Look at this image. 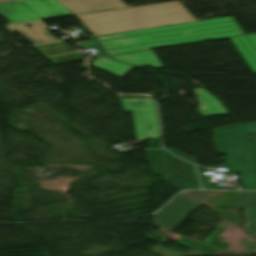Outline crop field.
Returning a JSON list of instances; mask_svg holds the SVG:
<instances>
[{
    "label": "crop field",
    "instance_id": "obj_1",
    "mask_svg": "<svg viewBox=\"0 0 256 256\" xmlns=\"http://www.w3.org/2000/svg\"><path fill=\"white\" fill-rule=\"evenodd\" d=\"M243 34L232 16L97 37L109 55Z\"/></svg>",
    "mask_w": 256,
    "mask_h": 256
},
{
    "label": "crop field",
    "instance_id": "obj_2",
    "mask_svg": "<svg viewBox=\"0 0 256 256\" xmlns=\"http://www.w3.org/2000/svg\"><path fill=\"white\" fill-rule=\"evenodd\" d=\"M78 17L95 36L197 20L179 1Z\"/></svg>",
    "mask_w": 256,
    "mask_h": 256
},
{
    "label": "crop field",
    "instance_id": "obj_3",
    "mask_svg": "<svg viewBox=\"0 0 256 256\" xmlns=\"http://www.w3.org/2000/svg\"><path fill=\"white\" fill-rule=\"evenodd\" d=\"M216 143L230 172L256 171L252 142L238 126L216 130Z\"/></svg>",
    "mask_w": 256,
    "mask_h": 256
},
{
    "label": "crop field",
    "instance_id": "obj_4",
    "mask_svg": "<svg viewBox=\"0 0 256 256\" xmlns=\"http://www.w3.org/2000/svg\"><path fill=\"white\" fill-rule=\"evenodd\" d=\"M71 15L54 0H18L0 3V16L9 23Z\"/></svg>",
    "mask_w": 256,
    "mask_h": 256
},
{
    "label": "crop field",
    "instance_id": "obj_5",
    "mask_svg": "<svg viewBox=\"0 0 256 256\" xmlns=\"http://www.w3.org/2000/svg\"><path fill=\"white\" fill-rule=\"evenodd\" d=\"M121 101L126 111H132L137 140L159 136L155 106L150 98Z\"/></svg>",
    "mask_w": 256,
    "mask_h": 256
},
{
    "label": "crop field",
    "instance_id": "obj_6",
    "mask_svg": "<svg viewBox=\"0 0 256 256\" xmlns=\"http://www.w3.org/2000/svg\"><path fill=\"white\" fill-rule=\"evenodd\" d=\"M200 205L185 194H178L172 202L155 214V225L172 231Z\"/></svg>",
    "mask_w": 256,
    "mask_h": 256
},
{
    "label": "crop field",
    "instance_id": "obj_7",
    "mask_svg": "<svg viewBox=\"0 0 256 256\" xmlns=\"http://www.w3.org/2000/svg\"><path fill=\"white\" fill-rule=\"evenodd\" d=\"M167 175L162 178L179 189H200L192 164L163 150Z\"/></svg>",
    "mask_w": 256,
    "mask_h": 256
},
{
    "label": "crop field",
    "instance_id": "obj_8",
    "mask_svg": "<svg viewBox=\"0 0 256 256\" xmlns=\"http://www.w3.org/2000/svg\"><path fill=\"white\" fill-rule=\"evenodd\" d=\"M75 14L125 7L121 0H59ZM66 7V8H67Z\"/></svg>",
    "mask_w": 256,
    "mask_h": 256
},
{
    "label": "crop field",
    "instance_id": "obj_9",
    "mask_svg": "<svg viewBox=\"0 0 256 256\" xmlns=\"http://www.w3.org/2000/svg\"><path fill=\"white\" fill-rule=\"evenodd\" d=\"M24 24L30 25L36 34L30 31ZM12 27L33 44L57 41V39L48 32V28L40 21L12 25Z\"/></svg>",
    "mask_w": 256,
    "mask_h": 256
},
{
    "label": "crop field",
    "instance_id": "obj_10",
    "mask_svg": "<svg viewBox=\"0 0 256 256\" xmlns=\"http://www.w3.org/2000/svg\"><path fill=\"white\" fill-rule=\"evenodd\" d=\"M239 206L245 208L244 231L256 237V192H241Z\"/></svg>",
    "mask_w": 256,
    "mask_h": 256
},
{
    "label": "crop field",
    "instance_id": "obj_11",
    "mask_svg": "<svg viewBox=\"0 0 256 256\" xmlns=\"http://www.w3.org/2000/svg\"><path fill=\"white\" fill-rule=\"evenodd\" d=\"M230 39L249 66L256 72V34L231 37Z\"/></svg>",
    "mask_w": 256,
    "mask_h": 256
},
{
    "label": "crop field",
    "instance_id": "obj_12",
    "mask_svg": "<svg viewBox=\"0 0 256 256\" xmlns=\"http://www.w3.org/2000/svg\"><path fill=\"white\" fill-rule=\"evenodd\" d=\"M199 100L198 112L202 116H214L228 114L218 99L212 97L202 88L194 89Z\"/></svg>",
    "mask_w": 256,
    "mask_h": 256
},
{
    "label": "crop field",
    "instance_id": "obj_13",
    "mask_svg": "<svg viewBox=\"0 0 256 256\" xmlns=\"http://www.w3.org/2000/svg\"><path fill=\"white\" fill-rule=\"evenodd\" d=\"M111 58L136 66H155L163 68L152 50L113 56Z\"/></svg>",
    "mask_w": 256,
    "mask_h": 256
},
{
    "label": "crop field",
    "instance_id": "obj_14",
    "mask_svg": "<svg viewBox=\"0 0 256 256\" xmlns=\"http://www.w3.org/2000/svg\"><path fill=\"white\" fill-rule=\"evenodd\" d=\"M90 65L120 77L125 75L129 70H131L134 67L119 62H115L109 59L108 57L96 59Z\"/></svg>",
    "mask_w": 256,
    "mask_h": 256
},
{
    "label": "crop field",
    "instance_id": "obj_15",
    "mask_svg": "<svg viewBox=\"0 0 256 256\" xmlns=\"http://www.w3.org/2000/svg\"><path fill=\"white\" fill-rule=\"evenodd\" d=\"M226 191H186L189 197L206 207H214Z\"/></svg>",
    "mask_w": 256,
    "mask_h": 256
},
{
    "label": "crop field",
    "instance_id": "obj_16",
    "mask_svg": "<svg viewBox=\"0 0 256 256\" xmlns=\"http://www.w3.org/2000/svg\"><path fill=\"white\" fill-rule=\"evenodd\" d=\"M147 162L151 164L152 173L165 176V165L162 150H146Z\"/></svg>",
    "mask_w": 256,
    "mask_h": 256
},
{
    "label": "crop field",
    "instance_id": "obj_17",
    "mask_svg": "<svg viewBox=\"0 0 256 256\" xmlns=\"http://www.w3.org/2000/svg\"><path fill=\"white\" fill-rule=\"evenodd\" d=\"M242 189L256 190V173H241Z\"/></svg>",
    "mask_w": 256,
    "mask_h": 256
},
{
    "label": "crop field",
    "instance_id": "obj_18",
    "mask_svg": "<svg viewBox=\"0 0 256 256\" xmlns=\"http://www.w3.org/2000/svg\"><path fill=\"white\" fill-rule=\"evenodd\" d=\"M221 228H216L204 241L208 245L224 250L229 244L215 240L214 238L222 231Z\"/></svg>",
    "mask_w": 256,
    "mask_h": 256
},
{
    "label": "crop field",
    "instance_id": "obj_19",
    "mask_svg": "<svg viewBox=\"0 0 256 256\" xmlns=\"http://www.w3.org/2000/svg\"><path fill=\"white\" fill-rule=\"evenodd\" d=\"M174 241L186 248H197V249H201V250L208 251V252L216 251V249L193 242V241L185 239V238H181V239L174 240Z\"/></svg>",
    "mask_w": 256,
    "mask_h": 256
},
{
    "label": "crop field",
    "instance_id": "obj_20",
    "mask_svg": "<svg viewBox=\"0 0 256 256\" xmlns=\"http://www.w3.org/2000/svg\"><path fill=\"white\" fill-rule=\"evenodd\" d=\"M198 173L201 177L202 185L204 189H213L212 184L209 183L207 177H205L202 173L205 171V169H202L200 167H197Z\"/></svg>",
    "mask_w": 256,
    "mask_h": 256
},
{
    "label": "crop field",
    "instance_id": "obj_21",
    "mask_svg": "<svg viewBox=\"0 0 256 256\" xmlns=\"http://www.w3.org/2000/svg\"><path fill=\"white\" fill-rule=\"evenodd\" d=\"M240 125L247 132L248 135H251V134H253V132H256V121L248 122V123H242Z\"/></svg>",
    "mask_w": 256,
    "mask_h": 256
},
{
    "label": "crop field",
    "instance_id": "obj_22",
    "mask_svg": "<svg viewBox=\"0 0 256 256\" xmlns=\"http://www.w3.org/2000/svg\"><path fill=\"white\" fill-rule=\"evenodd\" d=\"M170 151L173 152L175 155H177V156H179V157H181V158H183V159H185V160H187V161H189V162H191V163L197 164V162H196L195 159H193V158H191V157H189V156H186V155L182 154V153H181L180 151H178L177 149H172V150H170Z\"/></svg>",
    "mask_w": 256,
    "mask_h": 256
},
{
    "label": "crop field",
    "instance_id": "obj_23",
    "mask_svg": "<svg viewBox=\"0 0 256 256\" xmlns=\"http://www.w3.org/2000/svg\"><path fill=\"white\" fill-rule=\"evenodd\" d=\"M151 143H152V147L153 148L161 147V145H160V138H156L154 140H151Z\"/></svg>",
    "mask_w": 256,
    "mask_h": 256
},
{
    "label": "crop field",
    "instance_id": "obj_24",
    "mask_svg": "<svg viewBox=\"0 0 256 256\" xmlns=\"http://www.w3.org/2000/svg\"><path fill=\"white\" fill-rule=\"evenodd\" d=\"M255 145H256V133H254Z\"/></svg>",
    "mask_w": 256,
    "mask_h": 256
},
{
    "label": "crop field",
    "instance_id": "obj_25",
    "mask_svg": "<svg viewBox=\"0 0 256 256\" xmlns=\"http://www.w3.org/2000/svg\"><path fill=\"white\" fill-rule=\"evenodd\" d=\"M1 1H9V0H0V2H1Z\"/></svg>",
    "mask_w": 256,
    "mask_h": 256
}]
</instances>
